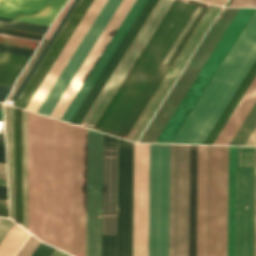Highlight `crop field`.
I'll use <instances>...</instances> for the list:
<instances>
[{"label":"crop field","instance_id":"crop-field-26","mask_svg":"<svg viewBox=\"0 0 256 256\" xmlns=\"http://www.w3.org/2000/svg\"><path fill=\"white\" fill-rule=\"evenodd\" d=\"M0 26L26 30V31L36 32V33H42V34H45L46 30L48 29L47 26L18 22V21L7 20L2 18H0Z\"/></svg>","mask_w":256,"mask_h":256},{"label":"crop field","instance_id":"crop-field-5","mask_svg":"<svg viewBox=\"0 0 256 256\" xmlns=\"http://www.w3.org/2000/svg\"><path fill=\"white\" fill-rule=\"evenodd\" d=\"M87 129L73 125L72 254L85 256ZM102 134L88 129L86 256H100Z\"/></svg>","mask_w":256,"mask_h":256},{"label":"crop field","instance_id":"crop-field-11","mask_svg":"<svg viewBox=\"0 0 256 256\" xmlns=\"http://www.w3.org/2000/svg\"><path fill=\"white\" fill-rule=\"evenodd\" d=\"M256 147H237L235 256H255Z\"/></svg>","mask_w":256,"mask_h":256},{"label":"crop field","instance_id":"crop-field-2","mask_svg":"<svg viewBox=\"0 0 256 256\" xmlns=\"http://www.w3.org/2000/svg\"><path fill=\"white\" fill-rule=\"evenodd\" d=\"M208 7L159 0L81 126L125 139Z\"/></svg>","mask_w":256,"mask_h":256},{"label":"crop field","instance_id":"crop-field-38","mask_svg":"<svg viewBox=\"0 0 256 256\" xmlns=\"http://www.w3.org/2000/svg\"><path fill=\"white\" fill-rule=\"evenodd\" d=\"M199 1L223 5L227 0H199Z\"/></svg>","mask_w":256,"mask_h":256},{"label":"crop field","instance_id":"crop-field-6","mask_svg":"<svg viewBox=\"0 0 256 256\" xmlns=\"http://www.w3.org/2000/svg\"><path fill=\"white\" fill-rule=\"evenodd\" d=\"M133 144L103 134L101 256H132Z\"/></svg>","mask_w":256,"mask_h":256},{"label":"crop field","instance_id":"crop-field-36","mask_svg":"<svg viewBox=\"0 0 256 256\" xmlns=\"http://www.w3.org/2000/svg\"><path fill=\"white\" fill-rule=\"evenodd\" d=\"M0 199H7V187L0 186Z\"/></svg>","mask_w":256,"mask_h":256},{"label":"crop field","instance_id":"crop-field-22","mask_svg":"<svg viewBox=\"0 0 256 256\" xmlns=\"http://www.w3.org/2000/svg\"><path fill=\"white\" fill-rule=\"evenodd\" d=\"M28 57L0 52V83L13 85Z\"/></svg>","mask_w":256,"mask_h":256},{"label":"crop field","instance_id":"crop-field-20","mask_svg":"<svg viewBox=\"0 0 256 256\" xmlns=\"http://www.w3.org/2000/svg\"><path fill=\"white\" fill-rule=\"evenodd\" d=\"M236 147L229 146L228 256H234Z\"/></svg>","mask_w":256,"mask_h":256},{"label":"crop field","instance_id":"crop-field-27","mask_svg":"<svg viewBox=\"0 0 256 256\" xmlns=\"http://www.w3.org/2000/svg\"><path fill=\"white\" fill-rule=\"evenodd\" d=\"M40 242L41 241L31 235V237L28 239V241L25 243V245L16 256H30Z\"/></svg>","mask_w":256,"mask_h":256},{"label":"crop field","instance_id":"crop-field-19","mask_svg":"<svg viewBox=\"0 0 256 256\" xmlns=\"http://www.w3.org/2000/svg\"><path fill=\"white\" fill-rule=\"evenodd\" d=\"M205 146H198L197 256H204Z\"/></svg>","mask_w":256,"mask_h":256},{"label":"crop field","instance_id":"crop-field-34","mask_svg":"<svg viewBox=\"0 0 256 256\" xmlns=\"http://www.w3.org/2000/svg\"><path fill=\"white\" fill-rule=\"evenodd\" d=\"M0 216L8 217L7 201L0 200Z\"/></svg>","mask_w":256,"mask_h":256},{"label":"crop field","instance_id":"crop-field-30","mask_svg":"<svg viewBox=\"0 0 256 256\" xmlns=\"http://www.w3.org/2000/svg\"><path fill=\"white\" fill-rule=\"evenodd\" d=\"M53 250L54 248L41 242V244L38 246L32 256H50Z\"/></svg>","mask_w":256,"mask_h":256},{"label":"crop field","instance_id":"crop-field-43","mask_svg":"<svg viewBox=\"0 0 256 256\" xmlns=\"http://www.w3.org/2000/svg\"><path fill=\"white\" fill-rule=\"evenodd\" d=\"M0 145L4 146V137L0 136Z\"/></svg>","mask_w":256,"mask_h":256},{"label":"crop field","instance_id":"crop-field-35","mask_svg":"<svg viewBox=\"0 0 256 256\" xmlns=\"http://www.w3.org/2000/svg\"><path fill=\"white\" fill-rule=\"evenodd\" d=\"M245 145H256V127L250 137L248 138L247 142Z\"/></svg>","mask_w":256,"mask_h":256},{"label":"crop field","instance_id":"crop-field-46","mask_svg":"<svg viewBox=\"0 0 256 256\" xmlns=\"http://www.w3.org/2000/svg\"><path fill=\"white\" fill-rule=\"evenodd\" d=\"M0 109H2V104H0Z\"/></svg>","mask_w":256,"mask_h":256},{"label":"crop field","instance_id":"crop-field-31","mask_svg":"<svg viewBox=\"0 0 256 256\" xmlns=\"http://www.w3.org/2000/svg\"><path fill=\"white\" fill-rule=\"evenodd\" d=\"M228 6L256 7V0H233Z\"/></svg>","mask_w":256,"mask_h":256},{"label":"crop field","instance_id":"crop-field-42","mask_svg":"<svg viewBox=\"0 0 256 256\" xmlns=\"http://www.w3.org/2000/svg\"><path fill=\"white\" fill-rule=\"evenodd\" d=\"M0 185H5V186H7V184H6V179L0 178Z\"/></svg>","mask_w":256,"mask_h":256},{"label":"crop field","instance_id":"crop-field-25","mask_svg":"<svg viewBox=\"0 0 256 256\" xmlns=\"http://www.w3.org/2000/svg\"><path fill=\"white\" fill-rule=\"evenodd\" d=\"M79 2V0H75L72 4V6L70 7V9L68 10L67 14L65 15V17L63 18V20L61 21L60 25L58 26V28L56 29V31L54 32L53 36L51 37V39L49 40V42L47 43V45L45 46V48L43 49L42 53L40 54V56L38 57V59L36 60V62L34 63V65L32 66V68L30 69L29 73L27 74V76L25 77V79L23 80V82L21 83V85L19 86V88L17 89L16 93L14 94V96L12 97V100H16V98L18 97V95L20 94V92L22 91V89L24 88L25 84L27 83V81L29 80V78L31 77V75L33 74L34 70L36 69V67L38 66V64L40 63L41 59L43 58V56L45 55V53L47 52V50L49 49L50 45L52 44V42L54 41V39L56 38L57 34L59 33V31L61 30V28L63 27V25L65 24L66 20L68 19V17L70 16V14L72 13V11L74 10L75 6L77 5V3Z\"/></svg>","mask_w":256,"mask_h":256},{"label":"crop field","instance_id":"crop-field-9","mask_svg":"<svg viewBox=\"0 0 256 256\" xmlns=\"http://www.w3.org/2000/svg\"><path fill=\"white\" fill-rule=\"evenodd\" d=\"M4 105L11 218L28 230L27 111Z\"/></svg>","mask_w":256,"mask_h":256},{"label":"crop field","instance_id":"crop-field-13","mask_svg":"<svg viewBox=\"0 0 256 256\" xmlns=\"http://www.w3.org/2000/svg\"><path fill=\"white\" fill-rule=\"evenodd\" d=\"M149 144H134L133 256H148Z\"/></svg>","mask_w":256,"mask_h":256},{"label":"crop field","instance_id":"crop-field-45","mask_svg":"<svg viewBox=\"0 0 256 256\" xmlns=\"http://www.w3.org/2000/svg\"><path fill=\"white\" fill-rule=\"evenodd\" d=\"M0 177H4V178H6V176H4V175H0Z\"/></svg>","mask_w":256,"mask_h":256},{"label":"crop field","instance_id":"crop-field-21","mask_svg":"<svg viewBox=\"0 0 256 256\" xmlns=\"http://www.w3.org/2000/svg\"><path fill=\"white\" fill-rule=\"evenodd\" d=\"M255 75H256V61L253 64V66L251 67V69L248 72V74L246 75V77L243 80V82L241 83L240 87L238 88V90L234 94L233 98L229 102L228 106L224 110L223 114L221 115V117L217 121L216 125L212 129L211 133L207 137V139L204 142V144H213V142L215 141L216 137L220 133L221 129L225 125L226 121L228 120V118L232 114L233 110L237 106L238 102L242 98L243 94L245 93V91L249 87L250 83L254 79Z\"/></svg>","mask_w":256,"mask_h":256},{"label":"crop field","instance_id":"crop-field-32","mask_svg":"<svg viewBox=\"0 0 256 256\" xmlns=\"http://www.w3.org/2000/svg\"><path fill=\"white\" fill-rule=\"evenodd\" d=\"M0 33L3 34H9V35H15V36H21V37H26V38H32V39H38L41 40V36H35V35H30V34H25V33H19V32H14V31H9V30H3L0 29Z\"/></svg>","mask_w":256,"mask_h":256},{"label":"crop field","instance_id":"crop-field-40","mask_svg":"<svg viewBox=\"0 0 256 256\" xmlns=\"http://www.w3.org/2000/svg\"><path fill=\"white\" fill-rule=\"evenodd\" d=\"M0 162L5 163L4 147L0 146Z\"/></svg>","mask_w":256,"mask_h":256},{"label":"crop field","instance_id":"crop-field-41","mask_svg":"<svg viewBox=\"0 0 256 256\" xmlns=\"http://www.w3.org/2000/svg\"><path fill=\"white\" fill-rule=\"evenodd\" d=\"M0 174L6 175L5 164L0 163Z\"/></svg>","mask_w":256,"mask_h":256},{"label":"crop field","instance_id":"crop-field-1","mask_svg":"<svg viewBox=\"0 0 256 256\" xmlns=\"http://www.w3.org/2000/svg\"><path fill=\"white\" fill-rule=\"evenodd\" d=\"M92 2H93V0H80L77 7L71 14L70 18L64 25L63 29L61 30V32L55 39L54 43L48 50V52L45 55V57L43 58V60L41 61L40 65L34 72L33 76L27 83L26 87L20 94L19 98L14 103V106L25 109L28 102L34 95L35 91L41 84L42 80L48 73L49 69L55 62L56 58L62 51L63 47L67 43L68 39L74 32L75 28L81 21L82 17L86 13V11L88 10V8ZM106 2H107V0H94L92 5L90 6L89 10L83 17L82 21L76 28L75 32L69 39L68 43L64 47L63 51L57 58L56 62L50 69L49 73L43 80L42 84L36 91L35 95L29 102L28 106L26 107L27 110L37 112L40 105L46 98L47 94L53 87L54 83L60 76L61 72L67 65L68 61L74 54L75 50L79 46L80 42L86 35L87 31L93 24L94 20L96 19V17L100 13L101 9L103 8V6L105 5ZM120 2H121V0H108L106 5L102 9L101 13L95 20L94 24L88 31L87 35L81 42L80 46L76 50L75 54L69 61L68 65L62 72L61 76L55 83L54 87L48 94L47 98L41 105L40 109L38 110V113L45 114V115L49 116L52 109L54 108L57 101L63 94L64 90L68 86L69 82L73 78L74 74L80 67L81 63L85 59L86 55L92 48L93 44L97 40L98 36L104 29L105 25L109 21L110 17L114 13L115 9L117 8V6L119 5ZM134 2H135V0H122L120 5L116 9L115 13L111 17L110 21L106 25L105 29L103 30V32L99 36L98 40L94 44L93 48L91 49V51L87 55L86 59L82 63L81 67L79 68V70L75 74L74 78L70 82L69 86L65 90L64 94L62 95V97L58 101L57 105L53 109L52 113L50 114L51 117L61 119L64 112L70 105L71 101L75 97L76 93L82 86L83 82L89 75L90 71L94 67L95 63L101 56L102 52L108 45L109 41L113 37L114 33L120 26L121 22L127 15L128 11L130 10V8L132 7ZM145 2H146V0H136L133 7L129 11L128 15L126 16V18L122 22L121 26L115 33L114 37L110 41L109 45L107 46V48L103 52L102 56L96 63L95 67L91 71L90 75L88 76V78L84 82L83 86L77 93L76 97L72 101L71 105L65 112L64 116L62 117L63 120L70 122L73 115L79 108L80 104L84 100L85 96L91 89L92 85L98 78L99 74L103 70L104 66L110 59L111 55L117 48L118 44L122 40L123 36L129 29L130 25L136 18L137 14L141 10V8Z\"/></svg>","mask_w":256,"mask_h":256},{"label":"crop field","instance_id":"crop-field-37","mask_svg":"<svg viewBox=\"0 0 256 256\" xmlns=\"http://www.w3.org/2000/svg\"><path fill=\"white\" fill-rule=\"evenodd\" d=\"M0 36H2V37H8V38H13V39H19V40H25V41H30V42H36V43H39V41H38V40L26 39V38L15 37V36H9V35H3V34H0Z\"/></svg>","mask_w":256,"mask_h":256},{"label":"crop field","instance_id":"crop-field-3","mask_svg":"<svg viewBox=\"0 0 256 256\" xmlns=\"http://www.w3.org/2000/svg\"><path fill=\"white\" fill-rule=\"evenodd\" d=\"M28 166L29 232L71 253L72 125L28 111Z\"/></svg>","mask_w":256,"mask_h":256},{"label":"crop field","instance_id":"crop-field-18","mask_svg":"<svg viewBox=\"0 0 256 256\" xmlns=\"http://www.w3.org/2000/svg\"><path fill=\"white\" fill-rule=\"evenodd\" d=\"M197 145H190L189 256H196Z\"/></svg>","mask_w":256,"mask_h":256},{"label":"crop field","instance_id":"crop-field-33","mask_svg":"<svg viewBox=\"0 0 256 256\" xmlns=\"http://www.w3.org/2000/svg\"><path fill=\"white\" fill-rule=\"evenodd\" d=\"M10 88L9 86H3V85H0V101L1 102H4L5 98L7 97L9 91H10Z\"/></svg>","mask_w":256,"mask_h":256},{"label":"crop field","instance_id":"crop-field-14","mask_svg":"<svg viewBox=\"0 0 256 256\" xmlns=\"http://www.w3.org/2000/svg\"><path fill=\"white\" fill-rule=\"evenodd\" d=\"M219 10H220V7L210 5L207 12L205 13L203 18L201 19L200 23L198 24V26L194 30L193 34L191 35V37L187 41L186 45L184 46V48L180 52L179 56L177 57V59L173 63L172 67L170 68V70L168 71L166 76L164 77L163 81L161 82V84L157 88L156 92L154 93V95L150 99L149 103L147 104V106L143 110L142 114L140 115V117L136 121L135 125L133 126V128L129 132L128 136L126 137V140L136 142L139 135L141 134V132L145 128L146 124L148 123V121L152 117L153 113L155 112V110L159 106L160 102L162 101V99L166 95L167 91L169 90V88L173 84L174 80L176 79V77L178 76L180 71L182 70L183 66L185 65V63L189 59L190 55L192 54V52L196 48L197 44L199 43V41L203 37L204 33L206 32V30L210 26L211 22L213 21V19L215 18V16L217 15Z\"/></svg>","mask_w":256,"mask_h":256},{"label":"crop field","instance_id":"crop-field-24","mask_svg":"<svg viewBox=\"0 0 256 256\" xmlns=\"http://www.w3.org/2000/svg\"><path fill=\"white\" fill-rule=\"evenodd\" d=\"M74 0H70V2L65 6V8L60 12L58 18L56 19V21L54 22V24L52 25V27L50 28V30L47 32V34L45 35V38H50V36L52 35V33L54 32V30L56 29V27L58 26L59 22L61 21V19L63 18V16L65 15V13L67 12L68 8L70 7V5L72 4ZM43 38L41 44L39 45L38 49L36 50L34 56L31 58L30 62L28 63V65L26 66V68L23 70V72L21 73L20 77L18 78L10 96L9 99H11V97L13 96L14 92L16 91V89L18 88V86L20 85V83L22 82L23 78L25 77V75L27 74V72L29 71V69L31 68L32 64L34 63V61L36 60V58L38 57V55L40 54L41 50L43 49V47L45 46V44L47 43L48 39Z\"/></svg>","mask_w":256,"mask_h":256},{"label":"crop field","instance_id":"crop-field-8","mask_svg":"<svg viewBox=\"0 0 256 256\" xmlns=\"http://www.w3.org/2000/svg\"><path fill=\"white\" fill-rule=\"evenodd\" d=\"M228 146H206L205 256H227Z\"/></svg>","mask_w":256,"mask_h":256},{"label":"crop field","instance_id":"crop-field-12","mask_svg":"<svg viewBox=\"0 0 256 256\" xmlns=\"http://www.w3.org/2000/svg\"><path fill=\"white\" fill-rule=\"evenodd\" d=\"M237 10L226 8L219 22H214L139 142H155Z\"/></svg>","mask_w":256,"mask_h":256},{"label":"crop field","instance_id":"crop-field-39","mask_svg":"<svg viewBox=\"0 0 256 256\" xmlns=\"http://www.w3.org/2000/svg\"><path fill=\"white\" fill-rule=\"evenodd\" d=\"M51 256H70V255H68V254H66V253H63V252H61V251H59V250L56 249V250L52 253Z\"/></svg>","mask_w":256,"mask_h":256},{"label":"crop field","instance_id":"crop-field-23","mask_svg":"<svg viewBox=\"0 0 256 256\" xmlns=\"http://www.w3.org/2000/svg\"><path fill=\"white\" fill-rule=\"evenodd\" d=\"M29 234L15 224L0 244V256H14Z\"/></svg>","mask_w":256,"mask_h":256},{"label":"crop field","instance_id":"crop-field-28","mask_svg":"<svg viewBox=\"0 0 256 256\" xmlns=\"http://www.w3.org/2000/svg\"><path fill=\"white\" fill-rule=\"evenodd\" d=\"M0 51L28 56V57H31L34 52L33 50H27V49L16 48V47L5 46V45H0Z\"/></svg>","mask_w":256,"mask_h":256},{"label":"crop field","instance_id":"crop-field-15","mask_svg":"<svg viewBox=\"0 0 256 256\" xmlns=\"http://www.w3.org/2000/svg\"><path fill=\"white\" fill-rule=\"evenodd\" d=\"M256 102V77L244 94L233 114L227 121L214 144L229 145L242 122ZM256 126V103L243 122L230 145H244L247 138Z\"/></svg>","mask_w":256,"mask_h":256},{"label":"crop field","instance_id":"crop-field-10","mask_svg":"<svg viewBox=\"0 0 256 256\" xmlns=\"http://www.w3.org/2000/svg\"><path fill=\"white\" fill-rule=\"evenodd\" d=\"M254 11L248 8L238 10L156 142L172 143Z\"/></svg>","mask_w":256,"mask_h":256},{"label":"crop field","instance_id":"crop-field-44","mask_svg":"<svg viewBox=\"0 0 256 256\" xmlns=\"http://www.w3.org/2000/svg\"><path fill=\"white\" fill-rule=\"evenodd\" d=\"M1 117H3L2 110H0V120L3 121V118L1 119Z\"/></svg>","mask_w":256,"mask_h":256},{"label":"crop field","instance_id":"crop-field-17","mask_svg":"<svg viewBox=\"0 0 256 256\" xmlns=\"http://www.w3.org/2000/svg\"><path fill=\"white\" fill-rule=\"evenodd\" d=\"M157 1L158 0H147L145 5L143 6L142 10L138 14L137 18L135 19V21L131 25L130 29L128 30V32L124 36L121 43L119 44L118 48L116 49V51L112 55L111 59L109 60V62L105 66L104 70L100 74L99 78L97 79V81L93 85L92 89L90 90V92L86 96L85 100L81 104L80 108L78 109V111L74 115L73 119L71 120V123H74V124L79 123L80 124L83 117L85 116V114L89 110L90 106L94 102L95 98L97 97V95L101 91L102 87L104 86V84L108 80L109 76L113 72L114 68L116 67V65L120 61L121 57L123 56V54L127 50L128 46L132 42L133 38L135 37V35L139 31L140 27L142 26V24L146 20L147 16L151 12L152 8L154 7V5L156 4Z\"/></svg>","mask_w":256,"mask_h":256},{"label":"crop field","instance_id":"crop-field-16","mask_svg":"<svg viewBox=\"0 0 256 256\" xmlns=\"http://www.w3.org/2000/svg\"><path fill=\"white\" fill-rule=\"evenodd\" d=\"M67 0H0V17L50 26Z\"/></svg>","mask_w":256,"mask_h":256},{"label":"crop field","instance_id":"crop-field-4","mask_svg":"<svg viewBox=\"0 0 256 256\" xmlns=\"http://www.w3.org/2000/svg\"><path fill=\"white\" fill-rule=\"evenodd\" d=\"M169 145L150 144L149 256H168ZM189 145H170L169 256H188Z\"/></svg>","mask_w":256,"mask_h":256},{"label":"crop field","instance_id":"crop-field-29","mask_svg":"<svg viewBox=\"0 0 256 256\" xmlns=\"http://www.w3.org/2000/svg\"><path fill=\"white\" fill-rule=\"evenodd\" d=\"M15 223L8 219L0 218V243Z\"/></svg>","mask_w":256,"mask_h":256},{"label":"crop field","instance_id":"crop-field-7","mask_svg":"<svg viewBox=\"0 0 256 256\" xmlns=\"http://www.w3.org/2000/svg\"><path fill=\"white\" fill-rule=\"evenodd\" d=\"M256 59V11L173 143L203 144Z\"/></svg>","mask_w":256,"mask_h":256}]
</instances>
